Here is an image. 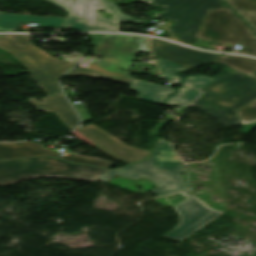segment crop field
Listing matches in <instances>:
<instances>
[{
  "label": "crop field",
  "mask_w": 256,
  "mask_h": 256,
  "mask_svg": "<svg viewBox=\"0 0 256 256\" xmlns=\"http://www.w3.org/2000/svg\"><path fill=\"white\" fill-rule=\"evenodd\" d=\"M256 98V80L221 74L192 106L219 119L225 126L239 125L236 108Z\"/></svg>",
  "instance_id": "obj_1"
},
{
  "label": "crop field",
  "mask_w": 256,
  "mask_h": 256,
  "mask_svg": "<svg viewBox=\"0 0 256 256\" xmlns=\"http://www.w3.org/2000/svg\"><path fill=\"white\" fill-rule=\"evenodd\" d=\"M138 52L149 53L147 37L134 35H104L95 54L102 56L98 63H91L86 71L74 69L68 76L83 75L91 78L103 77L131 85L129 71ZM120 66L127 72L120 71Z\"/></svg>",
  "instance_id": "obj_2"
},
{
  "label": "crop field",
  "mask_w": 256,
  "mask_h": 256,
  "mask_svg": "<svg viewBox=\"0 0 256 256\" xmlns=\"http://www.w3.org/2000/svg\"><path fill=\"white\" fill-rule=\"evenodd\" d=\"M154 150V155L148 160L112 170L100 180L108 181L116 174L133 180L144 175L157 184V188L152 191L158 196L186 190L187 187L181 178L183 165L173 152L171 143L159 139Z\"/></svg>",
  "instance_id": "obj_3"
},
{
  "label": "crop field",
  "mask_w": 256,
  "mask_h": 256,
  "mask_svg": "<svg viewBox=\"0 0 256 256\" xmlns=\"http://www.w3.org/2000/svg\"><path fill=\"white\" fill-rule=\"evenodd\" d=\"M108 171L52 158L0 161V185L43 176L96 182Z\"/></svg>",
  "instance_id": "obj_4"
},
{
  "label": "crop field",
  "mask_w": 256,
  "mask_h": 256,
  "mask_svg": "<svg viewBox=\"0 0 256 256\" xmlns=\"http://www.w3.org/2000/svg\"><path fill=\"white\" fill-rule=\"evenodd\" d=\"M0 48L11 52L32 72L38 86L48 96L61 94L56 79L73 63L51 57L46 52L33 46L25 35L0 36Z\"/></svg>",
  "instance_id": "obj_5"
},
{
  "label": "crop field",
  "mask_w": 256,
  "mask_h": 256,
  "mask_svg": "<svg viewBox=\"0 0 256 256\" xmlns=\"http://www.w3.org/2000/svg\"><path fill=\"white\" fill-rule=\"evenodd\" d=\"M196 38L199 39L194 43L197 48L209 49V45L200 39L239 43L242 44L239 53L256 56V34L226 5L209 10Z\"/></svg>",
  "instance_id": "obj_6"
},
{
  "label": "crop field",
  "mask_w": 256,
  "mask_h": 256,
  "mask_svg": "<svg viewBox=\"0 0 256 256\" xmlns=\"http://www.w3.org/2000/svg\"><path fill=\"white\" fill-rule=\"evenodd\" d=\"M222 4L219 0H154L152 5L166 7L155 17L175 20L169 31L180 35L178 42L192 45L207 11Z\"/></svg>",
  "instance_id": "obj_7"
},
{
  "label": "crop field",
  "mask_w": 256,
  "mask_h": 256,
  "mask_svg": "<svg viewBox=\"0 0 256 256\" xmlns=\"http://www.w3.org/2000/svg\"><path fill=\"white\" fill-rule=\"evenodd\" d=\"M153 0H143L151 4ZM96 9L106 10L113 19L104 18ZM80 18V21L76 20ZM143 23L121 12L116 4L105 0H75L64 28L78 30L119 31V22Z\"/></svg>",
  "instance_id": "obj_8"
},
{
  "label": "crop field",
  "mask_w": 256,
  "mask_h": 256,
  "mask_svg": "<svg viewBox=\"0 0 256 256\" xmlns=\"http://www.w3.org/2000/svg\"><path fill=\"white\" fill-rule=\"evenodd\" d=\"M182 195L187 199L173 207L179 216L178 227L163 237L179 242L184 241L222 214L209 209L189 192Z\"/></svg>",
  "instance_id": "obj_9"
},
{
  "label": "crop field",
  "mask_w": 256,
  "mask_h": 256,
  "mask_svg": "<svg viewBox=\"0 0 256 256\" xmlns=\"http://www.w3.org/2000/svg\"><path fill=\"white\" fill-rule=\"evenodd\" d=\"M42 146L43 145L35 142H20L14 144L0 143V160L34 156H51L58 157L72 163L90 164L101 168H107L110 164L109 162L97 158L84 157L76 154H71L68 157H61L58 155V152L44 149Z\"/></svg>",
  "instance_id": "obj_10"
},
{
  "label": "crop field",
  "mask_w": 256,
  "mask_h": 256,
  "mask_svg": "<svg viewBox=\"0 0 256 256\" xmlns=\"http://www.w3.org/2000/svg\"><path fill=\"white\" fill-rule=\"evenodd\" d=\"M79 131L98 143L96 148L126 163L142 160L151 153L147 150L129 147L94 125L85 126Z\"/></svg>",
  "instance_id": "obj_11"
},
{
  "label": "crop field",
  "mask_w": 256,
  "mask_h": 256,
  "mask_svg": "<svg viewBox=\"0 0 256 256\" xmlns=\"http://www.w3.org/2000/svg\"><path fill=\"white\" fill-rule=\"evenodd\" d=\"M153 55L162 57L174 63L187 68H193L208 63L216 62V55L213 53H204L179 45L164 42L151 38Z\"/></svg>",
  "instance_id": "obj_12"
},
{
  "label": "crop field",
  "mask_w": 256,
  "mask_h": 256,
  "mask_svg": "<svg viewBox=\"0 0 256 256\" xmlns=\"http://www.w3.org/2000/svg\"><path fill=\"white\" fill-rule=\"evenodd\" d=\"M42 100L43 103L29 99L39 110L56 113L70 130L78 126L79 119L63 95L42 98Z\"/></svg>",
  "instance_id": "obj_13"
},
{
  "label": "crop field",
  "mask_w": 256,
  "mask_h": 256,
  "mask_svg": "<svg viewBox=\"0 0 256 256\" xmlns=\"http://www.w3.org/2000/svg\"><path fill=\"white\" fill-rule=\"evenodd\" d=\"M67 18L14 15L0 12V31H15L19 22L38 23L44 26L64 27Z\"/></svg>",
  "instance_id": "obj_14"
},
{
  "label": "crop field",
  "mask_w": 256,
  "mask_h": 256,
  "mask_svg": "<svg viewBox=\"0 0 256 256\" xmlns=\"http://www.w3.org/2000/svg\"><path fill=\"white\" fill-rule=\"evenodd\" d=\"M131 89L142 92L138 96L139 99L158 103H163L165 98L174 92V89L150 84L138 79H133Z\"/></svg>",
  "instance_id": "obj_15"
},
{
  "label": "crop field",
  "mask_w": 256,
  "mask_h": 256,
  "mask_svg": "<svg viewBox=\"0 0 256 256\" xmlns=\"http://www.w3.org/2000/svg\"><path fill=\"white\" fill-rule=\"evenodd\" d=\"M217 55V61L244 75L254 77L256 73V60L239 56Z\"/></svg>",
  "instance_id": "obj_16"
},
{
  "label": "crop field",
  "mask_w": 256,
  "mask_h": 256,
  "mask_svg": "<svg viewBox=\"0 0 256 256\" xmlns=\"http://www.w3.org/2000/svg\"><path fill=\"white\" fill-rule=\"evenodd\" d=\"M256 30V0H226Z\"/></svg>",
  "instance_id": "obj_17"
},
{
  "label": "crop field",
  "mask_w": 256,
  "mask_h": 256,
  "mask_svg": "<svg viewBox=\"0 0 256 256\" xmlns=\"http://www.w3.org/2000/svg\"><path fill=\"white\" fill-rule=\"evenodd\" d=\"M256 79V77L254 78ZM242 132L247 134L256 127V99L237 109Z\"/></svg>",
  "instance_id": "obj_18"
},
{
  "label": "crop field",
  "mask_w": 256,
  "mask_h": 256,
  "mask_svg": "<svg viewBox=\"0 0 256 256\" xmlns=\"http://www.w3.org/2000/svg\"><path fill=\"white\" fill-rule=\"evenodd\" d=\"M199 95H200V92L198 90H195L189 87H182L177 92L176 95L172 96L168 100L167 104L172 106L186 107L193 100H195Z\"/></svg>",
  "instance_id": "obj_19"
},
{
  "label": "crop field",
  "mask_w": 256,
  "mask_h": 256,
  "mask_svg": "<svg viewBox=\"0 0 256 256\" xmlns=\"http://www.w3.org/2000/svg\"><path fill=\"white\" fill-rule=\"evenodd\" d=\"M155 57V56H154ZM160 70L163 73L164 79L169 81V82H174V83H179L180 82V78H178L177 76H175L178 72L180 71H184L187 68L181 67L179 65H176L172 62H169L167 60H164L162 58L159 57H155Z\"/></svg>",
  "instance_id": "obj_20"
},
{
  "label": "crop field",
  "mask_w": 256,
  "mask_h": 256,
  "mask_svg": "<svg viewBox=\"0 0 256 256\" xmlns=\"http://www.w3.org/2000/svg\"><path fill=\"white\" fill-rule=\"evenodd\" d=\"M214 79L202 75H197L194 77H187L182 83L184 85L193 86L198 89H205Z\"/></svg>",
  "instance_id": "obj_21"
},
{
  "label": "crop field",
  "mask_w": 256,
  "mask_h": 256,
  "mask_svg": "<svg viewBox=\"0 0 256 256\" xmlns=\"http://www.w3.org/2000/svg\"><path fill=\"white\" fill-rule=\"evenodd\" d=\"M53 3L69 13L74 0H44Z\"/></svg>",
  "instance_id": "obj_22"
},
{
  "label": "crop field",
  "mask_w": 256,
  "mask_h": 256,
  "mask_svg": "<svg viewBox=\"0 0 256 256\" xmlns=\"http://www.w3.org/2000/svg\"><path fill=\"white\" fill-rule=\"evenodd\" d=\"M74 134L77 135L79 138L83 139L84 141L90 143L92 146L96 145L94 142H92L88 138H86L82 133L74 132Z\"/></svg>",
  "instance_id": "obj_23"
},
{
  "label": "crop field",
  "mask_w": 256,
  "mask_h": 256,
  "mask_svg": "<svg viewBox=\"0 0 256 256\" xmlns=\"http://www.w3.org/2000/svg\"><path fill=\"white\" fill-rule=\"evenodd\" d=\"M100 36H101V35H90V37L93 38V41H94V42H97V41L99 40Z\"/></svg>",
  "instance_id": "obj_24"
}]
</instances>
